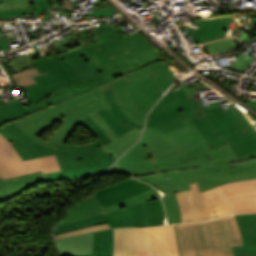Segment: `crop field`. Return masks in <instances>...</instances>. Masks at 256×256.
Here are the masks:
<instances>
[{
    "label": "crop field",
    "mask_w": 256,
    "mask_h": 256,
    "mask_svg": "<svg viewBox=\"0 0 256 256\" xmlns=\"http://www.w3.org/2000/svg\"><path fill=\"white\" fill-rule=\"evenodd\" d=\"M163 195L160 191L152 188L148 191H145L143 193L137 194L133 197H130L126 200H123L119 203H116L112 206H109L105 209L102 208L101 204L99 203L98 199L95 197L94 194L72 204L70 208L68 209L65 217L57 222L58 225H62L68 222H72L75 220H79L82 218H86L92 215H96L99 213H107L113 210L120 209L125 206L137 204L141 201H148V200H154L160 198V196Z\"/></svg>",
    "instance_id": "crop-field-11"
},
{
    "label": "crop field",
    "mask_w": 256,
    "mask_h": 256,
    "mask_svg": "<svg viewBox=\"0 0 256 256\" xmlns=\"http://www.w3.org/2000/svg\"><path fill=\"white\" fill-rule=\"evenodd\" d=\"M27 14H34V12L32 11V8L0 11V18L11 17V16H19V15H27Z\"/></svg>",
    "instance_id": "crop-field-34"
},
{
    "label": "crop field",
    "mask_w": 256,
    "mask_h": 256,
    "mask_svg": "<svg viewBox=\"0 0 256 256\" xmlns=\"http://www.w3.org/2000/svg\"><path fill=\"white\" fill-rule=\"evenodd\" d=\"M98 38L100 39L101 42H103V41H109V40H113V39H116V38H120V35H119V33H116V34L101 36V37H98Z\"/></svg>",
    "instance_id": "crop-field-38"
},
{
    "label": "crop field",
    "mask_w": 256,
    "mask_h": 256,
    "mask_svg": "<svg viewBox=\"0 0 256 256\" xmlns=\"http://www.w3.org/2000/svg\"><path fill=\"white\" fill-rule=\"evenodd\" d=\"M174 76L166 63L156 62L15 123L35 142L56 148L58 143H64L69 138L90 113L110 108L103 91L114 87V95L121 108L131 119L143 125L147 112L162 93L177 81ZM56 121L63 122V125L50 139L43 141L36 136Z\"/></svg>",
    "instance_id": "crop-field-1"
},
{
    "label": "crop field",
    "mask_w": 256,
    "mask_h": 256,
    "mask_svg": "<svg viewBox=\"0 0 256 256\" xmlns=\"http://www.w3.org/2000/svg\"><path fill=\"white\" fill-rule=\"evenodd\" d=\"M105 222L109 223L111 229L94 233V254L98 256H112V228L147 226L144 202L107 214L103 213L69 224L58 226L56 228L55 234L77 230Z\"/></svg>",
    "instance_id": "crop-field-8"
},
{
    "label": "crop field",
    "mask_w": 256,
    "mask_h": 256,
    "mask_svg": "<svg viewBox=\"0 0 256 256\" xmlns=\"http://www.w3.org/2000/svg\"><path fill=\"white\" fill-rule=\"evenodd\" d=\"M108 228H110V227H109L108 223H106V224H102V225H98V226H94V227H90V228H86V229H82V230H77V231H72V232L56 235V236H54L53 239L72 236V235H78V234H84V233H90V232H96V231H100V230H104V229H108Z\"/></svg>",
    "instance_id": "crop-field-32"
},
{
    "label": "crop field",
    "mask_w": 256,
    "mask_h": 256,
    "mask_svg": "<svg viewBox=\"0 0 256 256\" xmlns=\"http://www.w3.org/2000/svg\"><path fill=\"white\" fill-rule=\"evenodd\" d=\"M192 190L176 193L181 208L182 222L210 219L204 192L198 184H190Z\"/></svg>",
    "instance_id": "crop-field-12"
},
{
    "label": "crop field",
    "mask_w": 256,
    "mask_h": 256,
    "mask_svg": "<svg viewBox=\"0 0 256 256\" xmlns=\"http://www.w3.org/2000/svg\"><path fill=\"white\" fill-rule=\"evenodd\" d=\"M231 18L232 16L194 22L200 27L198 31L190 32L188 26H185L186 29L184 30H186L188 36L191 37L194 44L222 38L225 36L229 28Z\"/></svg>",
    "instance_id": "crop-field-17"
},
{
    "label": "crop field",
    "mask_w": 256,
    "mask_h": 256,
    "mask_svg": "<svg viewBox=\"0 0 256 256\" xmlns=\"http://www.w3.org/2000/svg\"><path fill=\"white\" fill-rule=\"evenodd\" d=\"M205 195L211 218L232 214L233 210L230 202L256 199V191L226 194L222 185L205 191Z\"/></svg>",
    "instance_id": "crop-field-13"
},
{
    "label": "crop field",
    "mask_w": 256,
    "mask_h": 256,
    "mask_svg": "<svg viewBox=\"0 0 256 256\" xmlns=\"http://www.w3.org/2000/svg\"><path fill=\"white\" fill-rule=\"evenodd\" d=\"M154 256H178L173 225L151 227Z\"/></svg>",
    "instance_id": "crop-field-21"
},
{
    "label": "crop field",
    "mask_w": 256,
    "mask_h": 256,
    "mask_svg": "<svg viewBox=\"0 0 256 256\" xmlns=\"http://www.w3.org/2000/svg\"><path fill=\"white\" fill-rule=\"evenodd\" d=\"M104 93L108 103L112 108L107 110L102 109L98 111V113L111 124L118 137L134 128V126L142 129V126L131 120L117 104L114 99L113 88L105 91Z\"/></svg>",
    "instance_id": "crop-field-16"
},
{
    "label": "crop field",
    "mask_w": 256,
    "mask_h": 256,
    "mask_svg": "<svg viewBox=\"0 0 256 256\" xmlns=\"http://www.w3.org/2000/svg\"><path fill=\"white\" fill-rule=\"evenodd\" d=\"M138 179L150 183L165 194L189 190L191 189L189 183L193 182H198L201 192L227 183L214 165L152 173L140 176Z\"/></svg>",
    "instance_id": "crop-field-9"
},
{
    "label": "crop field",
    "mask_w": 256,
    "mask_h": 256,
    "mask_svg": "<svg viewBox=\"0 0 256 256\" xmlns=\"http://www.w3.org/2000/svg\"><path fill=\"white\" fill-rule=\"evenodd\" d=\"M165 206L168 224L181 222L179 204L175 193L162 196Z\"/></svg>",
    "instance_id": "crop-field-28"
},
{
    "label": "crop field",
    "mask_w": 256,
    "mask_h": 256,
    "mask_svg": "<svg viewBox=\"0 0 256 256\" xmlns=\"http://www.w3.org/2000/svg\"><path fill=\"white\" fill-rule=\"evenodd\" d=\"M182 85L191 98L172 103L159 112L153 110L146 127H157L164 133L183 127L181 121L191 118L211 150L229 144L237 158L256 152V130L236 107L229 105L223 111L218 105L223 101L204 106L198 91L200 85L190 89Z\"/></svg>",
    "instance_id": "crop-field-3"
},
{
    "label": "crop field",
    "mask_w": 256,
    "mask_h": 256,
    "mask_svg": "<svg viewBox=\"0 0 256 256\" xmlns=\"http://www.w3.org/2000/svg\"><path fill=\"white\" fill-rule=\"evenodd\" d=\"M51 57L64 81L44 88L42 90L36 91L34 93L24 95L32 104L48 96L57 89L81 83V80L78 78V76L66 60L58 62L54 55H52Z\"/></svg>",
    "instance_id": "crop-field-22"
},
{
    "label": "crop field",
    "mask_w": 256,
    "mask_h": 256,
    "mask_svg": "<svg viewBox=\"0 0 256 256\" xmlns=\"http://www.w3.org/2000/svg\"><path fill=\"white\" fill-rule=\"evenodd\" d=\"M39 170L46 173L61 169L55 155L23 161L9 141L0 134V176L9 178Z\"/></svg>",
    "instance_id": "crop-field-10"
},
{
    "label": "crop field",
    "mask_w": 256,
    "mask_h": 256,
    "mask_svg": "<svg viewBox=\"0 0 256 256\" xmlns=\"http://www.w3.org/2000/svg\"><path fill=\"white\" fill-rule=\"evenodd\" d=\"M255 181H256V179H253V180H246V181L233 182V183H229V184H226V185L242 184V183L255 182ZM224 186H225V185H224Z\"/></svg>",
    "instance_id": "crop-field-41"
},
{
    "label": "crop field",
    "mask_w": 256,
    "mask_h": 256,
    "mask_svg": "<svg viewBox=\"0 0 256 256\" xmlns=\"http://www.w3.org/2000/svg\"><path fill=\"white\" fill-rule=\"evenodd\" d=\"M180 256H233L231 246L243 245L235 217L176 224Z\"/></svg>",
    "instance_id": "crop-field-5"
},
{
    "label": "crop field",
    "mask_w": 256,
    "mask_h": 256,
    "mask_svg": "<svg viewBox=\"0 0 256 256\" xmlns=\"http://www.w3.org/2000/svg\"><path fill=\"white\" fill-rule=\"evenodd\" d=\"M244 246L232 247L235 256H256V213L235 215Z\"/></svg>",
    "instance_id": "crop-field-18"
},
{
    "label": "crop field",
    "mask_w": 256,
    "mask_h": 256,
    "mask_svg": "<svg viewBox=\"0 0 256 256\" xmlns=\"http://www.w3.org/2000/svg\"><path fill=\"white\" fill-rule=\"evenodd\" d=\"M38 58V56L36 55L35 51L28 53L26 55H23L21 57H17L14 59H11V63L13 64L16 72L33 67L34 64L32 63L31 60Z\"/></svg>",
    "instance_id": "crop-field-30"
},
{
    "label": "crop field",
    "mask_w": 256,
    "mask_h": 256,
    "mask_svg": "<svg viewBox=\"0 0 256 256\" xmlns=\"http://www.w3.org/2000/svg\"><path fill=\"white\" fill-rule=\"evenodd\" d=\"M0 2H4V0H0Z\"/></svg>",
    "instance_id": "crop-field-43"
},
{
    "label": "crop field",
    "mask_w": 256,
    "mask_h": 256,
    "mask_svg": "<svg viewBox=\"0 0 256 256\" xmlns=\"http://www.w3.org/2000/svg\"><path fill=\"white\" fill-rule=\"evenodd\" d=\"M183 124L185 127L164 134L157 128H146L143 138L107 173L137 176L214 164L228 183L256 178V163L230 168L227 160L236 156L229 145L211 151L191 119Z\"/></svg>",
    "instance_id": "crop-field-2"
},
{
    "label": "crop field",
    "mask_w": 256,
    "mask_h": 256,
    "mask_svg": "<svg viewBox=\"0 0 256 256\" xmlns=\"http://www.w3.org/2000/svg\"><path fill=\"white\" fill-rule=\"evenodd\" d=\"M148 226L166 224L165 214L160 199L145 202Z\"/></svg>",
    "instance_id": "crop-field-27"
},
{
    "label": "crop field",
    "mask_w": 256,
    "mask_h": 256,
    "mask_svg": "<svg viewBox=\"0 0 256 256\" xmlns=\"http://www.w3.org/2000/svg\"><path fill=\"white\" fill-rule=\"evenodd\" d=\"M108 166L72 169L44 174L46 181L75 179L80 177L101 175Z\"/></svg>",
    "instance_id": "crop-field-25"
},
{
    "label": "crop field",
    "mask_w": 256,
    "mask_h": 256,
    "mask_svg": "<svg viewBox=\"0 0 256 256\" xmlns=\"http://www.w3.org/2000/svg\"><path fill=\"white\" fill-rule=\"evenodd\" d=\"M112 13H116V12L113 9L108 8V9H104V10L88 13L87 15H88V17H90L92 15H94V16L96 15V17H100V16L112 14Z\"/></svg>",
    "instance_id": "crop-field-37"
},
{
    "label": "crop field",
    "mask_w": 256,
    "mask_h": 256,
    "mask_svg": "<svg viewBox=\"0 0 256 256\" xmlns=\"http://www.w3.org/2000/svg\"><path fill=\"white\" fill-rule=\"evenodd\" d=\"M89 46L103 70L101 75L105 81L153 61H167L141 33Z\"/></svg>",
    "instance_id": "crop-field-6"
},
{
    "label": "crop field",
    "mask_w": 256,
    "mask_h": 256,
    "mask_svg": "<svg viewBox=\"0 0 256 256\" xmlns=\"http://www.w3.org/2000/svg\"><path fill=\"white\" fill-rule=\"evenodd\" d=\"M230 166H238V165H245V164H249V163H254L256 162V153L249 155L245 158H239V159H235V160H230L228 161Z\"/></svg>",
    "instance_id": "crop-field-36"
},
{
    "label": "crop field",
    "mask_w": 256,
    "mask_h": 256,
    "mask_svg": "<svg viewBox=\"0 0 256 256\" xmlns=\"http://www.w3.org/2000/svg\"><path fill=\"white\" fill-rule=\"evenodd\" d=\"M113 256H135V228L114 229Z\"/></svg>",
    "instance_id": "crop-field-23"
},
{
    "label": "crop field",
    "mask_w": 256,
    "mask_h": 256,
    "mask_svg": "<svg viewBox=\"0 0 256 256\" xmlns=\"http://www.w3.org/2000/svg\"><path fill=\"white\" fill-rule=\"evenodd\" d=\"M254 185L255 183H249V184H242V185H233V186H226L224 187L227 193L232 192H242V191H251L255 190Z\"/></svg>",
    "instance_id": "crop-field-35"
},
{
    "label": "crop field",
    "mask_w": 256,
    "mask_h": 256,
    "mask_svg": "<svg viewBox=\"0 0 256 256\" xmlns=\"http://www.w3.org/2000/svg\"><path fill=\"white\" fill-rule=\"evenodd\" d=\"M41 73V74H45ZM36 75H40L38 73V71L35 69V67L15 73V74H11V77L15 83V85L17 87H21V86H25V85H30V84H34L35 81L33 79L32 76H36Z\"/></svg>",
    "instance_id": "crop-field-29"
},
{
    "label": "crop field",
    "mask_w": 256,
    "mask_h": 256,
    "mask_svg": "<svg viewBox=\"0 0 256 256\" xmlns=\"http://www.w3.org/2000/svg\"><path fill=\"white\" fill-rule=\"evenodd\" d=\"M40 59L33 60L36 69L40 72L47 71L48 74L34 77L37 84L26 86L27 92L22 93V95L34 92L41 88L47 87L54 83L62 81L60 74L58 73L51 57L42 58L35 44L32 45Z\"/></svg>",
    "instance_id": "crop-field-19"
},
{
    "label": "crop field",
    "mask_w": 256,
    "mask_h": 256,
    "mask_svg": "<svg viewBox=\"0 0 256 256\" xmlns=\"http://www.w3.org/2000/svg\"><path fill=\"white\" fill-rule=\"evenodd\" d=\"M43 180L44 178L40 171L37 173L18 176L10 179H3L0 177V196L2 198L20 188H22L24 191L33 184Z\"/></svg>",
    "instance_id": "crop-field-24"
},
{
    "label": "crop field",
    "mask_w": 256,
    "mask_h": 256,
    "mask_svg": "<svg viewBox=\"0 0 256 256\" xmlns=\"http://www.w3.org/2000/svg\"><path fill=\"white\" fill-rule=\"evenodd\" d=\"M136 256H153L150 227L136 228Z\"/></svg>",
    "instance_id": "crop-field-26"
},
{
    "label": "crop field",
    "mask_w": 256,
    "mask_h": 256,
    "mask_svg": "<svg viewBox=\"0 0 256 256\" xmlns=\"http://www.w3.org/2000/svg\"><path fill=\"white\" fill-rule=\"evenodd\" d=\"M247 105L256 110V102L247 103Z\"/></svg>",
    "instance_id": "crop-field-42"
},
{
    "label": "crop field",
    "mask_w": 256,
    "mask_h": 256,
    "mask_svg": "<svg viewBox=\"0 0 256 256\" xmlns=\"http://www.w3.org/2000/svg\"><path fill=\"white\" fill-rule=\"evenodd\" d=\"M20 192H23V191L20 189V190L14 192V193H12V194H10V195H8V196L2 198V199L0 198V201H2V200L6 201V200H8V199L14 197L15 195H17V194L20 193Z\"/></svg>",
    "instance_id": "crop-field-40"
},
{
    "label": "crop field",
    "mask_w": 256,
    "mask_h": 256,
    "mask_svg": "<svg viewBox=\"0 0 256 256\" xmlns=\"http://www.w3.org/2000/svg\"><path fill=\"white\" fill-rule=\"evenodd\" d=\"M233 104L236 105L240 110H242L246 114V116L250 119V121H253V120L256 121V118L254 116H252L250 113H248L242 107H240L238 104H236L235 102Z\"/></svg>",
    "instance_id": "crop-field-39"
},
{
    "label": "crop field",
    "mask_w": 256,
    "mask_h": 256,
    "mask_svg": "<svg viewBox=\"0 0 256 256\" xmlns=\"http://www.w3.org/2000/svg\"><path fill=\"white\" fill-rule=\"evenodd\" d=\"M150 188H152L150 185L130 178L116 185L95 190L93 193L105 208Z\"/></svg>",
    "instance_id": "crop-field-14"
},
{
    "label": "crop field",
    "mask_w": 256,
    "mask_h": 256,
    "mask_svg": "<svg viewBox=\"0 0 256 256\" xmlns=\"http://www.w3.org/2000/svg\"><path fill=\"white\" fill-rule=\"evenodd\" d=\"M81 124L99 140L87 145L58 144L56 150L35 143L14 122L1 127L0 132L10 141L23 160L56 154L62 170L110 165L115 158L98 148L110 141L109 137L89 116Z\"/></svg>",
    "instance_id": "crop-field-4"
},
{
    "label": "crop field",
    "mask_w": 256,
    "mask_h": 256,
    "mask_svg": "<svg viewBox=\"0 0 256 256\" xmlns=\"http://www.w3.org/2000/svg\"><path fill=\"white\" fill-rule=\"evenodd\" d=\"M235 213L256 212V200L250 202L231 203Z\"/></svg>",
    "instance_id": "crop-field-31"
},
{
    "label": "crop field",
    "mask_w": 256,
    "mask_h": 256,
    "mask_svg": "<svg viewBox=\"0 0 256 256\" xmlns=\"http://www.w3.org/2000/svg\"><path fill=\"white\" fill-rule=\"evenodd\" d=\"M6 2L0 3V10L16 9L31 7L29 0H5Z\"/></svg>",
    "instance_id": "crop-field-33"
},
{
    "label": "crop field",
    "mask_w": 256,
    "mask_h": 256,
    "mask_svg": "<svg viewBox=\"0 0 256 256\" xmlns=\"http://www.w3.org/2000/svg\"><path fill=\"white\" fill-rule=\"evenodd\" d=\"M60 256L93 254V233L53 240Z\"/></svg>",
    "instance_id": "crop-field-20"
},
{
    "label": "crop field",
    "mask_w": 256,
    "mask_h": 256,
    "mask_svg": "<svg viewBox=\"0 0 256 256\" xmlns=\"http://www.w3.org/2000/svg\"><path fill=\"white\" fill-rule=\"evenodd\" d=\"M62 54L76 71L83 83L57 90L47 98L33 104L27 109L19 102L18 99L5 105L0 100V124L6 123L17 117H21L27 113L66 99L105 82L99 73L101 72V69L88 45Z\"/></svg>",
    "instance_id": "crop-field-7"
},
{
    "label": "crop field",
    "mask_w": 256,
    "mask_h": 256,
    "mask_svg": "<svg viewBox=\"0 0 256 256\" xmlns=\"http://www.w3.org/2000/svg\"><path fill=\"white\" fill-rule=\"evenodd\" d=\"M89 116L107 133L112 140L99 148L114 156L116 159L137 140L141 132L140 129L135 127L118 138L109 123L105 121L97 112L92 113Z\"/></svg>",
    "instance_id": "crop-field-15"
}]
</instances>
